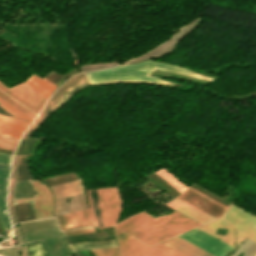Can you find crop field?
<instances>
[{
  "label": "crop field",
  "instance_id": "f4fd0767",
  "mask_svg": "<svg viewBox=\"0 0 256 256\" xmlns=\"http://www.w3.org/2000/svg\"><path fill=\"white\" fill-rule=\"evenodd\" d=\"M88 84L86 77L83 75H76L71 79L67 80L62 86L58 88V90L54 93V95L47 102L41 113L29 127V129L23 134L22 138L31 137L33 132L36 130L38 125L45 120L65 99H67L72 93H74L80 87ZM79 85V86H78ZM78 86V87H76ZM73 89L67 96L61 99L68 91ZM61 99V100H60Z\"/></svg>",
  "mask_w": 256,
  "mask_h": 256
},
{
  "label": "crop field",
  "instance_id": "a9b5d70f",
  "mask_svg": "<svg viewBox=\"0 0 256 256\" xmlns=\"http://www.w3.org/2000/svg\"><path fill=\"white\" fill-rule=\"evenodd\" d=\"M94 253V256H120L118 248H104V249H95L91 250Z\"/></svg>",
  "mask_w": 256,
  "mask_h": 256
},
{
  "label": "crop field",
  "instance_id": "733c2abd",
  "mask_svg": "<svg viewBox=\"0 0 256 256\" xmlns=\"http://www.w3.org/2000/svg\"><path fill=\"white\" fill-rule=\"evenodd\" d=\"M36 196L30 181H16L13 200Z\"/></svg>",
  "mask_w": 256,
  "mask_h": 256
},
{
  "label": "crop field",
  "instance_id": "dd49c442",
  "mask_svg": "<svg viewBox=\"0 0 256 256\" xmlns=\"http://www.w3.org/2000/svg\"><path fill=\"white\" fill-rule=\"evenodd\" d=\"M223 217L237 230L238 244L246 236L256 242V217L232 205Z\"/></svg>",
  "mask_w": 256,
  "mask_h": 256
},
{
  "label": "crop field",
  "instance_id": "34b2d1b8",
  "mask_svg": "<svg viewBox=\"0 0 256 256\" xmlns=\"http://www.w3.org/2000/svg\"><path fill=\"white\" fill-rule=\"evenodd\" d=\"M24 84L47 99L57 87L46 79L41 80L33 75ZM25 85L20 83L8 89L0 83V90L34 113L38 114L47 99L40 96Z\"/></svg>",
  "mask_w": 256,
  "mask_h": 256
},
{
  "label": "crop field",
  "instance_id": "5a996713",
  "mask_svg": "<svg viewBox=\"0 0 256 256\" xmlns=\"http://www.w3.org/2000/svg\"><path fill=\"white\" fill-rule=\"evenodd\" d=\"M37 197L25 200L13 201V204L30 202L36 219L53 217L51 214L52 196L45 184L38 180L31 181Z\"/></svg>",
  "mask_w": 256,
  "mask_h": 256
},
{
  "label": "crop field",
  "instance_id": "28ad6ade",
  "mask_svg": "<svg viewBox=\"0 0 256 256\" xmlns=\"http://www.w3.org/2000/svg\"><path fill=\"white\" fill-rule=\"evenodd\" d=\"M9 169L10 165L0 163V223L2 224L4 230L11 229L5 206Z\"/></svg>",
  "mask_w": 256,
  "mask_h": 256
},
{
  "label": "crop field",
  "instance_id": "412701ff",
  "mask_svg": "<svg viewBox=\"0 0 256 256\" xmlns=\"http://www.w3.org/2000/svg\"><path fill=\"white\" fill-rule=\"evenodd\" d=\"M115 232L122 256H184L161 243L150 247L116 228Z\"/></svg>",
  "mask_w": 256,
  "mask_h": 256
},
{
  "label": "crop field",
  "instance_id": "4a817a6b",
  "mask_svg": "<svg viewBox=\"0 0 256 256\" xmlns=\"http://www.w3.org/2000/svg\"><path fill=\"white\" fill-rule=\"evenodd\" d=\"M17 222L35 219L29 203L13 205Z\"/></svg>",
  "mask_w": 256,
  "mask_h": 256
},
{
  "label": "crop field",
  "instance_id": "4177f3b9",
  "mask_svg": "<svg viewBox=\"0 0 256 256\" xmlns=\"http://www.w3.org/2000/svg\"><path fill=\"white\" fill-rule=\"evenodd\" d=\"M18 140L0 136V148L13 151Z\"/></svg>",
  "mask_w": 256,
  "mask_h": 256
},
{
  "label": "crop field",
  "instance_id": "d1516ede",
  "mask_svg": "<svg viewBox=\"0 0 256 256\" xmlns=\"http://www.w3.org/2000/svg\"><path fill=\"white\" fill-rule=\"evenodd\" d=\"M165 205H168V206L174 208L176 211L188 216L189 218H191L201 224L215 219L214 217L196 209L195 207H193L177 198Z\"/></svg>",
  "mask_w": 256,
  "mask_h": 256
},
{
  "label": "crop field",
  "instance_id": "92a150f3",
  "mask_svg": "<svg viewBox=\"0 0 256 256\" xmlns=\"http://www.w3.org/2000/svg\"><path fill=\"white\" fill-rule=\"evenodd\" d=\"M16 180H31L28 170L26 157L19 156L17 162V179Z\"/></svg>",
  "mask_w": 256,
  "mask_h": 256
},
{
  "label": "crop field",
  "instance_id": "ae1a2a85",
  "mask_svg": "<svg viewBox=\"0 0 256 256\" xmlns=\"http://www.w3.org/2000/svg\"><path fill=\"white\" fill-rule=\"evenodd\" d=\"M11 156H12V155H10V154H6V153H1V152H0V162H1V163L10 164Z\"/></svg>",
  "mask_w": 256,
  "mask_h": 256
},
{
  "label": "crop field",
  "instance_id": "dafd665d",
  "mask_svg": "<svg viewBox=\"0 0 256 256\" xmlns=\"http://www.w3.org/2000/svg\"><path fill=\"white\" fill-rule=\"evenodd\" d=\"M29 256H48L41 242L25 245Z\"/></svg>",
  "mask_w": 256,
  "mask_h": 256
},
{
  "label": "crop field",
  "instance_id": "22f410ed",
  "mask_svg": "<svg viewBox=\"0 0 256 256\" xmlns=\"http://www.w3.org/2000/svg\"><path fill=\"white\" fill-rule=\"evenodd\" d=\"M28 125L29 122L0 115V134L2 135L18 139L21 132L25 131Z\"/></svg>",
  "mask_w": 256,
  "mask_h": 256
},
{
  "label": "crop field",
  "instance_id": "ac0d7876",
  "mask_svg": "<svg viewBox=\"0 0 256 256\" xmlns=\"http://www.w3.org/2000/svg\"><path fill=\"white\" fill-rule=\"evenodd\" d=\"M155 69L190 76L194 78L204 79L208 81L213 80L210 78H205L201 75H198L196 73L190 72L182 68L162 64L160 62L155 61H144L140 63L122 65L111 69L86 73L85 76L87 77L90 84L129 81H151L174 84L149 76Z\"/></svg>",
  "mask_w": 256,
  "mask_h": 256
},
{
  "label": "crop field",
  "instance_id": "00972430",
  "mask_svg": "<svg viewBox=\"0 0 256 256\" xmlns=\"http://www.w3.org/2000/svg\"><path fill=\"white\" fill-rule=\"evenodd\" d=\"M0 107L14 117L29 120V121L32 120L26 115H24L23 113H21L20 111H18L17 109H15L14 107H12L11 105H9L8 103H6L5 101H3L1 98H0Z\"/></svg>",
  "mask_w": 256,
  "mask_h": 256
},
{
  "label": "crop field",
  "instance_id": "3316defc",
  "mask_svg": "<svg viewBox=\"0 0 256 256\" xmlns=\"http://www.w3.org/2000/svg\"><path fill=\"white\" fill-rule=\"evenodd\" d=\"M87 197L90 208L56 217L60 230L64 231L78 226H98L92 210L89 190H87Z\"/></svg>",
  "mask_w": 256,
  "mask_h": 256
},
{
  "label": "crop field",
  "instance_id": "d9b57169",
  "mask_svg": "<svg viewBox=\"0 0 256 256\" xmlns=\"http://www.w3.org/2000/svg\"><path fill=\"white\" fill-rule=\"evenodd\" d=\"M55 199L84 192L82 180L51 187Z\"/></svg>",
  "mask_w": 256,
  "mask_h": 256
},
{
  "label": "crop field",
  "instance_id": "d8731c3e",
  "mask_svg": "<svg viewBox=\"0 0 256 256\" xmlns=\"http://www.w3.org/2000/svg\"><path fill=\"white\" fill-rule=\"evenodd\" d=\"M178 237L213 256H226L233 249L197 229Z\"/></svg>",
  "mask_w": 256,
  "mask_h": 256
},
{
  "label": "crop field",
  "instance_id": "5142ce71",
  "mask_svg": "<svg viewBox=\"0 0 256 256\" xmlns=\"http://www.w3.org/2000/svg\"><path fill=\"white\" fill-rule=\"evenodd\" d=\"M180 238V237H179ZM177 237L162 242L163 244L173 248L174 250L186 255V256H211L206 252L192 246L191 244L179 239Z\"/></svg>",
  "mask_w": 256,
  "mask_h": 256
},
{
  "label": "crop field",
  "instance_id": "214f88e0",
  "mask_svg": "<svg viewBox=\"0 0 256 256\" xmlns=\"http://www.w3.org/2000/svg\"><path fill=\"white\" fill-rule=\"evenodd\" d=\"M73 251L83 250V249H93V248H103V247H113L115 243L113 240L102 241V242H88V243H76L68 245Z\"/></svg>",
  "mask_w": 256,
  "mask_h": 256
},
{
  "label": "crop field",
  "instance_id": "bc2a9ffb",
  "mask_svg": "<svg viewBox=\"0 0 256 256\" xmlns=\"http://www.w3.org/2000/svg\"><path fill=\"white\" fill-rule=\"evenodd\" d=\"M17 158L18 156H14V159H13L10 184H9V192H8V200H7V206H8L9 215H10L12 224L16 223L14 213H13V208H12V197H13V190H14V184H15V167H16Z\"/></svg>",
  "mask_w": 256,
  "mask_h": 256
},
{
  "label": "crop field",
  "instance_id": "e52e79f7",
  "mask_svg": "<svg viewBox=\"0 0 256 256\" xmlns=\"http://www.w3.org/2000/svg\"><path fill=\"white\" fill-rule=\"evenodd\" d=\"M103 227L115 224L121 210L116 188L97 190Z\"/></svg>",
  "mask_w": 256,
  "mask_h": 256
},
{
  "label": "crop field",
  "instance_id": "730fd06b",
  "mask_svg": "<svg viewBox=\"0 0 256 256\" xmlns=\"http://www.w3.org/2000/svg\"><path fill=\"white\" fill-rule=\"evenodd\" d=\"M0 97L5 100L6 102H8L9 104H11L12 106H14L15 108H17L18 110H20L21 112H23L24 114H26L27 116H29L30 118H34L35 115H33L32 113H30L29 111H27L26 109H24L22 106H20L19 104H17L16 102H14L13 100H11L10 98H8L7 96H5L4 94H2L0 92Z\"/></svg>",
  "mask_w": 256,
  "mask_h": 256
},
{
  "label": "crop field",
  "instance_id": "8a807250",
  "mask_svg": "<svg viewBox=\"0 0 256 256\" xmlns=\"http://www.w3.org/2000/svg\"><path fill=\"white\" fill-rule=\"evenodd\" d=\"M198 225L200 224L177 212L155 219L142 212L115 226L139 240L153 245Z\"/></svg>",
  "mask_w": 256,
  "mask_h": 256
},
{
  "label": "crop field",
  "instance_id": "eef30255",
  "mask_svg": "<svg viewBox=\"0 0 256 256\" xmlns=\"http://www.w3.org/2000/svg\"><path fill=\"white\" fill-rule=\"evenodd\" d=\"M93 231H95L94 228H86V229L66 231V232H63V233L66 234V235H71V234L87 233V232H93Z\"/></svg>",
  "mask_w": 256,
  "mask_h": 256
},
{
  "label": "crop field",
  "instance_id": "cbeb9de0",
  "mask_svg": "<svg viewBox=\"0 0 256 256\" xmlns=\"http://www.w3.org/2000/svg\"><path fill=\"white\" fill-rule=\"evenodd\" d=\"M217 228L228 229L226 236L215 234ZM198 229H200L216 238H220V241L226 243L227 245H229L231 247H233V245H234V230L222 218H220L214 222H211L205 226H202Z\"/></svg>",
  "mask_w": 256,
  "mask_h": 256
}]
</instances>
